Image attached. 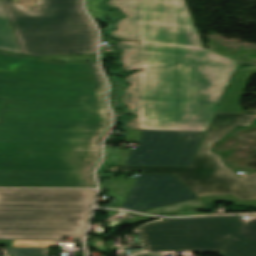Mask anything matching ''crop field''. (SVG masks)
Returning a JSON list of instances; mask_svg holds the SVG:
<instances>
[{
	"instance_id": "crop-field-1",
	"label": "crop field",
	"mask_w": 256,
	"mask_h": 256,
	"mask_svg": "<svg viewBox=\"0 0 256 256\" xmlns=\"http://www.w3.org/2000/svg\"><path fill=\"white\" fill-rule=\"evenodd\" d=\"M105 91L97 61L0 52V154L101 155Z\"/></svg>"
},
{
	"instance_id": "crop-field-2",
	"label": "crop field",
	"mask_w": 256,
	"mask_h": 256,
	"mask_svg": "<svg viewBox=\"0 0 256 256\" xmlns=\"http://www.w3.org/2000/svg\"><path fill=\"white\" fill-rule=\"evenodd\" d=\"M139 127L206 131L237 62L202 48L183 0H142Z\"/></svg>"
},
{
	"instance_id": "crop-field-3",
	"label": "crop field",
	"mask_w": 256,
	"mask_h": 256,
	"mask_svg": "<svg viewBox=\"0 0 256 256\" xmlns=\"http://www.w3.org/2000/svg\"><path fill=\"white\" fill-rule=\"evenodd\" d=\"M95 190L0 189V239L83 236Z\"/></svg>"
},
{
	"instance_id": "crop-field-4",
	"label": "crop field",
	"mask_w": 256,
	"mask_h": 256,
	"mask_svg": "<svg viewBox=\"0 0 256 256\" xmlns=\"http://www.w3.org/2000/svg\"><path fill=\"white\" fill-rule=\"evenodd\" d=\"M1 1L22 54L96 53V30L81 0H42L33 12H22L16 0Z\"/></svg>"
},
{
	"instance_id": "crop-field-5",
	"label": "crop field",
	"mask_w": 256,
	"mask_h": 256,
	"mask_svg": "<svg viewBox=\"0 0 256 256\" xmlns=\"http://www.w3.org/2000/svg\"><path fill=\"white\" fill-rule=\"evenodd\" d=\"M138 232L146 251H219L225 256H256V216L165 219Z\"/></svg>"
},
{
	"instance_id": "crop-field-6",
	"label": "crop field",
	"mask_w": 256,
	"mask_h": 256,
	"mask_svg": "<svg viewBox=\"0 0 256 256\" xmlns=\"http://www.w3.org/2000/svg\"><path fill=\"white\" fill-rule=\"evenodd\" d=\"M255 115L217 112L191 167L117 166L104 171H141L174 174L197 196L232 194L240 199L256 198V174L239 178L219 156L209 152L212 143L236 125L249 126Z\"/></svg>"
},
{
	"instance_id": "crop-field-7",
	"label": "crop field",
	"mask_w": 256,
	"mask_h": 256,
	"mask_svg": "<svg viewBox=\"0 0 256 256\" xmlns=\"http://www.w3.org/2000/svg\"><path fill=\"white\" fill-rule=\"evenodd\" d=\"M100 157L0 155V187L92 188L90 173Z\"/></svg>"
},
{
	"instance_id": "crop-field-8",
	"label": "crop field",
	"mask_w": 256,
	"mask_h": 256,
	"mask_svg": "<svg viewBox=\"0 0 256 256\" xmlns=\"http://www.w3.org/2000/svg\"><path fill=\"white\" fill-rule=\"evenodd\" d=\"M205 134L150 131L134 165L190 166Z\"/></svg>"
},
{
	"instance_id": "crop-field-9",
	"label": "crop field",
	"mask_w": 256,
	"mask_h": 256,
	"mask_svg": "<svg viewBox=\"0 0 256 256\" xmlns=\"http://www.w3.org/2000/svg\"><path fill=\"white\" fill-rule=\"evenodd\" d=\"M197 196L174 175L140 174L122 209L141 212Z\"/></svg>"
},
{
	"instance_id": "crop-field-10",
	"label": "crop field",
	"mask_w": 256,
	"mask_h": 256,
	"mask_svg": "<svg viewBox=\"0 0 256 256\" xmlns=\"http://www.w3.org/2000/svg\"><path fill=\"white\" fill-rule=\"evenodd\" d=\"M115 47L123 50V52L120 53V60L124 65L119 69H140L141 42L120 41ZM139 73L140 71L124 79V81L131 83V86L124 90L121 103L128 105V111L136 115L133 120L122 121V123L126 125V129H137L138 127Z\"/></svg>"
},
{
	"instance_id": "crop-field-11",
	"label": "crop field",
	"mask_w": 256,
	"mask_h": 256,
	"mask_svg": "<svg viewBox=\"0 0 256 256\" xmlns=\"http://www.w3.org/2000/svg\"><path fill=\"white\" fill-rule=\"evenodd\" d=\"M104 6H115L128 16L116 24L118 30L107 32L113 38L139 41L141 0H110Z\"/></svg>"
},
{
	"instance_id": "crop-field-12",
	"label": "crop field",
	"mask_w": 256,
	"mask_h": 256,
	"mask_svg": "<svg viewBox=\"0 0 256 256\" xmlns=\"http://www.w3.org/2000/svg\"><path fill=\"white\" fill-rule=\"evenodd\" d=\"M253 74H256V67L235 72L217 111L245 113L239 100L250 76Z\"/></svg>"
},
{
	"instance_id": "crop-field-13",
	"label": "crop field",
	"mask_w": 256,
	"mask_h": 256,
	"mask_svg": "<svg viewBox=\"0 0 256 256\" xmlns=\"http://www.w3.org/2000/svg\"><path fill=\"white\" fill-rule=\"evenodd\" d=\"M126 131L129 132L127 135L128 140L126 142H139L138 150L116 149V156L118 157L117 160H119V162L112 165H133L143 144V141L148 133V131L143 130Z\"/></svg>"
},
{
	"instance_id": "crop-field-14",
	"label": "crop field",
	"mask_w": 256,
	"mask_h": 256,
	"mask_svg": "<svg viewBox=\"0 0 256 256\" xmlns=\"http://www.w3.org/2000/svg\"><path fill=\"white\" fill-rule=\"evenodd\" d=\"M0 50L21 54L0 1Z\"/></svg>"
},
{
	"instance_id": "crop-field-15",
	"label": "crop field",
	"mask_w": 256,
	"mask_h": 256,
	"mask_svg": "<svg viewBox=\"0 0 256 256\" xmlns=\"http://www.w3.org/2000/svg\"><path fill=\"white\" fill-rule=\"evenodd\" d=\"M203 204H205V202L202 201L200 198H197V199H193V200H189V201H185V202H181V203L145 211L143 213L159 214L161 212H173L176 210L185 209L187 207L199 208V207H202Z\"/></svg>"
},
{
	"instance_id": "crop-field-16",
	"label": "crop field",
	"mask_w": 256,
	"mask_h": 256,
	"mask_svg": "<svg viewBox=\"0 0 256 256\" xmlns=\"http://www.w3.org/2000/svg\"><path fill=\"white\" fill-rule=\"evenodd\" d=\"M133 183L134 181H129V180H115V182L109 187L107 192L111 193L112 195L118 198V201L115 207L117 208L120 207L126 194L130 191L129 187L132 186Z\"/></svg>"
},
{
	"instance_id": "crop-field-17",
	"label": "crop field",
	"mask_w": 256,
	"mask_h": 256,
	"mask_svg": "<svg viewBox=\"0 0 256 256\" xmlns=\"http://www.w3.org/2000/svg\"><path fill=\"white\" fill-rule=\"evenodd\" d=\"M102 0H86V9L89 12V14L96 20H103L100 18V15L103 13H109L111 14V17L113 19L119 17V13L116 10H112V12H106L99 8L98 3Z\"/></svg>"
},
{
	"instance_id": "crop-field-18",
	"label": "crop field",
	"mask_w": 256,
	"mask_h": 256,
	"mask_svg": "<svg viewBox=\"0 0 256 256\" xmlns=\"http://www.w3.org/2000/svg\"><path fill=\"white\" fill-rule=\"evenodd\" d=\"M7 252L9 256H47V249L39 248H10Z\"/></svg>"
},
{
	"instance_id": "crop-field-19",
	"label": "crop field",
	"mask_w": 256,
	"mask_h": 256,
	"mask_svg": "<svg viewBox=\"0 0 256 256\" xmlns=\"http://www.w3.org/2000/svg\"><path fill=\"white\" fill-rule=\"evenodd\" d=\"M206 203L220 201V200H232L235 205H251L256 206V199L251 200H239L232 195H222V196H206L200 197Z\"/></svg>"
},
{
	"instance_id": "crop-field-20",
	"label": "crop field",
	"mask_w": 256,
	"mask_h": 256,
	"mask_svg": "<svg viewBox=\"0 0 256 256\" xmlns=\"http://www.w3.org/2000/svg\"><path fill=\"white\" fill-rule=\"evenodd\" d=\"M42 59L53 60L58 62H72V61H89L97 60L96 55H82V56H53V57H39Z\"/></svg>"
},
{
	"instance_id": "crop-field-21",
	"label": "crop field",
	"mask_w": 256,
	"mask_h": 256,
	"mask_svg": "<svg viewBox=\"0 0 256 256\" xmlns=\"http://www.w3.org/2000/svg\"><path fill=\"white\" fill-rule=\"evenodd\" d=\"M23 11L37 10L41 0H17Z\"/></svg>"
},
{
	"instance_id": "crop-field-22",
	"label": "crop field",
	"mask_w": 256,
	"mask_h": 256,
	"mask_svg": "<svg viewBox=\"0 0 256 256\" xmlns=\"http://www.w3.org/2000/svg\"><path fill=\"white\" fill-rule=\"evenodd\" d=\"M110 148V147H109ZM108 147H106V155H105V162L102 164L101 167H106V164L108 162L114 161V157L111 156V154L113 153L111 149H109ZM100 167V168H101Z\"/></svg>"
},
{
	"instance_id": "crop-field-23",
	"label": "crop field",
	"mask_w": 256,
	"mask_h": 256,
	"mask_svg": "<svg viewBox=\"0 0 256 256\" xmlns=\"http://www.w3.org/2000/svg\"><path fill=\"white\" fill-rule=\"evenodd\" d=\"M94 245H95L96 247H98V248H100V249H102V250L108 252L107 249H106V247H105V245H104V243H103V241H97V242L94 243Z\"/></svg>"
},
{
	"instance_id": "crop-field-24",
	"label": "crop field",
	"mask_w": 256,
	"mask_h": 256,
	"mask_svg": "<svg viewBox=\"0 0 256 256\" xmlns=\"http://www.w3.org/2000/svg\"><path fill=\"white\" fill-rule=\"evenodd\" d=\"M203 214H207V213H200V212H196V211H188V212H184L183 216L203 215Z\"/></svg>"
},
{
	"instance_id": "crop-field-25",
	"label": "crop field",
	"mask_w": 256,
	"mask_h": 256,
	"mask_svg": "<svg viewBox=\"0 0 256 256\" xmlns=\"http://www.w3.org/2000/svg\"><path fill=\"white\" fill-rule=\"evenodd\" d=\"M134 256H162V253H153V254H136Z\"/></svg>"
},
{
	"instance_id": "crop-field-26",
	"label": "crop field",
	"mask_w": 256,
	"mask_h": 256,
	"mask_svg": "<svg viewBox=\"0 0 256 256\" xmlns=\"http://www.w3.org/2000/svg\"><path fill=\"white\" fill-rule=\"evenodd\" d=\"M129 214H131V215H134V216L138 217V218H136V219H134V220L150 218V217H146V216H142V215H138V214H132V213H129ZM134 220H132V221H134ZM130 222H131V221H130Z\"/></svg>"
},
{
	"instance_id": "crop-field-27",
	"label": "crop field",
	"mask_w": 256,
	"mask_h": 256,
	"mask_svg": "<svg viewBox=\"0 0 256 256\" xmlns=\"http://www.w3.org/2000/svg\"><path fill=\"white\" fill-rule=\"evenodd\" d=\"M118 211H107L105 213L115 215Z\"/></svg>"
}]
</instances>
